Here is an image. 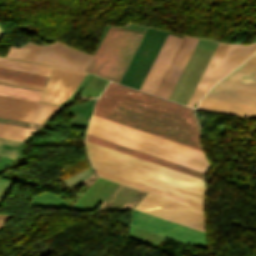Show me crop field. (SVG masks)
I'll use <instances>...</instances> for the list:
<instances>
[{
	"mask_svg": "<svg viewBox=\"0 0 256 256\" xmlns=\"http://www.w3.org/2000/svg\"><path fill=\"white\" fill-rule=\"evenodd\" d=\"M205 97L256 105V66L242 64Z\"/></svg>",
	"mask_w": 256,
	"mask_h": 256,
	"instance_id": "4",
	"label": "crop field"
},
{
	"mask_svg": "<svg viewBox=\"0 0 256 256\" xmlns=\"http://www.w3.org/2000/svg\"><path fill=\"white\" fill-rule=\"evenodd\" d=\"M228 45L218 43L209 63L207 64L198 84L196 85L187 105L194 106V104L203 96L215 70L217 69Z\"/></svg>",
	"mask_w": 256,
	"mask_h": 256,
	"instance_id": "10",
	"label": "crop field"
},
{
	"mask_svg": "<svg viewBox=\"0 0 256 256\" xmlns=\"http://www.w3.org/2000/svg\"><path fill=\"white\" fill-rule=\"evenodd\" d=\"M12 182L0 180V199L4 198L9 191Z\"/></svg>",
	"mask_w": 256,
	"mask_h": 256,
	"instance_id": "18",
	"label": "crop field"
},
{
	"mask_svg": "<svg viewBox=\"0 0 256 256\" xmlns=\"http://www.w3.org/2000/svg\"><path fill=\"white\" fill-rule=\"evenodd\" d=\"M34 131V129H28L0 123V137L22 141L24 138H26Z\"/></svg>",
	"mask_w": 256,
	"mask_h": 256,
	"instance_id": "15",
	"label": "crop field"
},
{
	"mask_svg": "<svg viewBox=\"0 0 256 256\" xmlns=\"http://www.w3.org/2000/svg\"><path fill=\"white\" fill-rule=\"evenodd\" d=\"M85 73L54 68L41 101L59 105L72 95Z\"/></svg>",
	"mask_w": 256,
	"mask_h": 256,
	"instance_id": "6",
	"label": "crop field"
},
{
	"mask_svg": "<svg viewBox=\"0 0 256 256\" xmlns=\"http://www.w3.org/2000/svg\"><path fill=\"white\" fill-rule=\"evenodd\" d=\"M86 148L94 168L204 205L203 180L90 143Z\"/></svg>",
	"mask_w": 256,
	"mask_h": 256,
	"instance_id": "1",
	"label": "crop field"
},
{
	"mask_svg": "<svg viewBox=\"0 0 256 256\" xmlns=\"http://www.w3.org/2000/svg\"><path fill=\"white\" fill-rule=\"evenodd\" d=\"M61 107L0 95V116L42 124Z\"/></svg>",
	"mask_w": 256,
	"mask_h": 256,
	"instance_id": "5",
	"label": "crop field"
},
{
	"mask_svg": "<svg viewBox=\"0 0 256 256\" xmlns=\"http://www.w3.org/2000/svg\"><path fill=\"white\" fill-rule=\"evenodd\" d=\"M99 176L134 188H138L102 175ZM147 192H149L147 196L145 195L146 197L135 207V209L205 232L203 209L152 193L150 191ZM135 209H133V226L186 244L208 249L206 234L204 232Z\"/></svg>",
	"mask_w": 256,
	"mask_h": 256,
	"instance_id": "2",
	"label": "crop field"
},
{
	"mask_svg": "<svg viewBox=\"0 0 256 256\" xmlns=\"http://www.w3.org/2000/svg\"><path fill=\"white\" fill-rule=\"evenodd\" d=\"M14 214L0 215V219H10Z\"/></svg>",
	"mask_w": 256,
	"mask_h": 256,
	"instance_id": "21",
	"label": "crop field"
},
{
	"mask_svg": "<svg viewBox=\"0 0 256 256\" xmlns=\"http://www.w3.org/2000/svg\"><path fill=\"white\" fill-rule=\"evenodd\" d=\"M42 92L0 84V94L38 101Z\"/></svg>",
	"mask_w": 256,
	"mask_h": 256,
	"instance_id": "14",
	"label": "crop field"
},
{
	"mask_svg": "<svg viewBox=\"0 0 256 256\" xmlns=\"http://www.w3.org/2000/svg\"><path fill=\"white\" fill-rule=\"evenodd\" d=\"M0 67L48 76L52 67L0 58Z\"/></svg>",
	"mask_w": 256,
	"mask_h": 256,
	"instance_id": "12",
	"label": "crop field"
},
{
	"mask_svg": "<svg viewBox=\"0 0 256 256\" xmlns=\"http://www.w3.org/2000/svg\"><path fill=\"white\" fill-rule=\"evenodd\" d=\"M244 63L256 65V57H255V56H252L251 58H249L248 60H246Z\"/></svg>",
	"mask_w": 256,
	"mask_h": 256,
	"instance_id": "20",
	"label": "crop field"
},
{
	"mask_svg": "<svg viewBox=\"0 0 256 256\" xmlns=\"http://www.w3.org/2000/svg\"><path fill=\"white\" fill-rule=\"evenodd\" d=\"M0 82L8 83V84H14V85H19V86L30 87V88H35V89H41V90H43V88H44L42 86H36V85H31V84H26V83H20V82H15V81H10V80H4V79H0Z\"/></svg>",
	"mask_w": 256,
	"mask_h": 256,
	"instance_id": "19",
	"label": "crop field"
},
{
	"mask_svg": "<svg viewBox=\"0 0 256 256\" xmlns=\"http://www.w3.org/2000/svg\"><path fill=\"white\" fill-rule=\"evenodd\" d=\"M203 99L227 103V104L239 105V106H244V107L256 108V106H251V105H244V104L219 101V100H213V99H207V98H203ZM204 100H201V102L198 104L197 109L220 112V113H227V114H233V115H240V116H246V117H256V109L238 107V106L221 104V103L204 101Z\"/></svg>",
	"mask_w": 256,
	"mask_h": 256,
	"instance_id": "11",
	"label": "crop field"
},
{
	"mask_svg": "<svg viewBox=\"0 0 256 256\" xmlns=\"http://www.w3.org/2000/svg\"><path fill=\"white\" fill-rule=\"evenodd\" d=\"M197 41L198 39L184 36L176 54L174 55L165 75L163 76L155 92V95H159L168 99Z\"/></svg>",
	"mask_w": 256,
	"mask_h": 256,
	"instance_id": "7",
	"label": "crop field"
},
{
	"mask_svg": "<svg viewBox=\"0 0 256 256\" xmlns=\"http://www.w3.org/2000/svg\"><path fill=\"white\" fill-rule=\"evenodd\" d=\"M255 50H256V43L253 45H247V46L229 45L206 92L213 84H215L218 80L224 77L232 69L238 66L243 60H245Z\"/></svg>",
	"mask_w": 256,
	"mask_h": 256,
	"instance_id": "9",
	"label": "crop field"
},
{
	"mask_svg": "<svg viewBox=\"0 0 256 256\" xmlns=\"http://www.w3.org/2000/svg\"><path fill=\"white\" fill-rule=\"evenodd\" d=\"M96 171L99 174H102V175H105V176H108V177H111V178H114V179H117V180L129 183V184H132V185H135V186H138V187L150 190L152 192H155V193H158V194H161V195H164V196H167V197H170V198H173V199H176V200H179V201H182V202H185V203H188V204H191V205H194V206H197V207H200V208L204 209L203 205H200V204H197V203H194V202H191V201H188V200H185V199H182V198H179V197H176V196H173V195H170V194H167V193H164V192H161V191L149 188L147 186H144V185H141V184H138V183H135V182H132V181H129V180H126V179H123V178H120V177H117V176H114V175H111V174H108V173H105V172H102V171H99V170H96Z\"/></svg>",
	"mask_w": 256,
	"mask_h": 256,
	"instance_id": "17",
	"label": "crop field"
},
{
	"mask_svg": "<svg viewBox=\"0 0 256 256\" xmlns=\"http://www.w3.org/2000/svg\"><path fill=\"white\" fill-rule=\"evenodd\" d=\"M0 78L44 86L48 77L0 68Z\"/></svg>",
	"mask_w": 256,
	"mask_h": 256,
	"instance_id": "13",
	"label": "crop field"
},
{
	"mask_svg": "<svg viewBox=\"0 0 256 256\" xmlns=\"http://www.w3.org/2000/svg\"><path fill=\"white\" fill-rule=\"evenodd\" d=\"M4 223H0V227L3 225Z\"/></svg>",
	"mask_w": 256,
	"mask_h": 256,
	"instance_id": "24",
	"label": "crop field"
},
{
	"mask_svg": "<svg viewBox=\"0 0 256 256\" xmlns=\"http://www.w3.org/2000/svg\"><path fill=\"white\" fill-rule=\"evenodd\" d=\"M181 38L168 34L155 62L153 63L141 90L154 94L167 66L169 65Z\"/></svg>",
	"mask_w": 256,
	"mask_h": 256,
	"instance_id": "8",
	"label": "crop field"
},
{
	"mask_svg": "<svg viewBox=\"0 0 256 256\" xmlns=\"http://www.w3.org/2000/svg\"><path fill=\"white\" fill-rule=\"evenodd\" d=\"M88 134L202 171L207 160L202 151L94 116Z\"/></svg>",
	"mask_w": 256,
	"mask_h": 256,
	"instance_id": "3",
	"label": "crop field"
},
{
	"mask_svg": "<svg viewBox=\"0 0 256 256\" xmlns=\"http://www.w3.org/2000/svg\"><path fill=\"white\" fill-rule=\"evenodd\" d=\"M8 220H0V222H7Z\"/></svg>",
	"mask_w": 256,
	"mask_h": 256,
	"instance_id": "23",
	"label": "crop field"
},
{
	"mask_svg": "<svg viewBox=\"0 0 256 256\" xmlns=\"http://www.w3.org/2000/svg\"><path fill=\"white\" fill-rule=\"evenodd\" d=\"M22 142L0 138V155L19 158L18 151Z\"/></svg>",
	"mask_w": 256,
	"mask_h": 256,
	"instance_id": "16",
	"label": "crop field"
},
{
	"mask_svg": "<svg viewBox=\"0 0 256 256\" xmlns=\"http://www.w3.org/2000/svg\"><path fill=\"white\" fill-rule=\"evenodd\" d=\"M253 55H255V56H256V52H255Z\"/></svg>",
	"mask_w": 256,
	"mask_h": 256,
	"instance_id": "25",
	"label": "crop field"
},
{
	"mask_svg": "<svg viewBox=\"0 0 256 256\" xmlns=\"http://www.w3.org/2000/svg\"><path fill=\"white\" fill-rule=\"evenodd\" d=\"M2 33H3V31H2V29H1V27H0V36L2 35Z\"/></svg>",
	"mask_w": 256,
	"mask_h": 256,
	"instance_id": "22",
	"label": "crop field"
}]
</instances>
